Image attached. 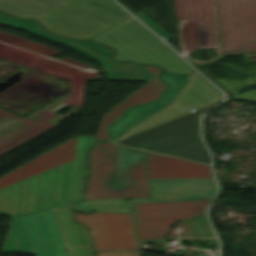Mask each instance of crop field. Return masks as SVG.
Instances as JSON below:
<instances>
[{
    "label": "crop field",
    "mask_w": 256,
    "mask_h": 256,
    "mask_svg": "<svg viewBox=\"0 0 256 256\" xmlns=\"http://www.w3.org/2000/svg\"><path fill=\"white\" fill-rule=\"evenodd\" d=\"M77 221L90 227L95 252L139 249L134 232L133 215L95 212L75 213Z\"/></svg>",
    "instance_id": "crop-field-9"
},
{
    "label": "crop field",
    "mask_w": 256,
    "mask_h": 256,
    "mask_svg": "<svg viewBox=\"0 0 256 256\" xmlns=\"http://www.w3.org/2000/svg\"><path fill=\"white\" fill-rule=\"evenodd\" d=\"M94 136H78L75 159L0 189V215L14 217L82 199L86 151Z\"/></svg>",
    "instance_id": "crop-field-1"
},
{
    "label": "crop field",
    "mask_w": 256,
    "mask_h": 256,
    "mask_svg": "<svg viewBox=\"0 0 256 256\" xmlns=\"http://www.w3.org/2000/svg\"><path fill=\"white\" fill-rule=\"evenodd\" d=\"M145 28V27H144ZM131 17L89 38L113 47V60H130L138 64H154L166 72L188 74L193 71L169 48Z\"/></svg>",
    "instance_id": "crop-field-4"
},
{
    "label": "crop field",
    "mask_w": 256,
    "mask_h": 256,
    "mask_svg": "<svg viewBox=\"0 0 256 256\" xmlns=\"http://www.w3.org/2000/svg\"><path fill=\"white\" fill-rule=\"evenodd\" d=\"M145 153L148 178L212 177L209 166Z\"/></svg>",
    "instance_id": "crop-field-14"
},
{
    "label": "crop field",
    "mask_w": 256,
    "mask_h": 256,
    "mask_svg": "<svg viewBox=\"0 0 256 256\" xmlns=\"http://www.w3.org/2000/svg\"><path fill=\"white\" fill-rule=\"evenodd\" d=\"M150 72L156 75L146 85L112 109L110 112L102 116L101 122L94 140L108 139V132L106 127L112 124L113 121L117 120L118 117L123 115V111L133 105L145 104L151 100H156L160 97L162 92L167 88L159 79L158 74L160 69L153 66H143Z\"/></svg>",
    "instance_id": "crop-field-13"
},
{
    "label": "crop field",
    "mask_w": 256,
    "mask_h": 256,
    "mask_svg": "<svg viewBox=\"0 0 256 256\" xmlns=\"http://www.w3.org/2000/svg\"><path fill=\"white\" fill-rule=\"evenodd\" d=\"M2 251L68 256L52 211L11 218Z\"/></svg>",
    "instance_id": "crop-field-6"
},
{
    "label": "crop field",
    "mask_w": 256,
    "mask_h": 256,
    "mask_svg": "<svg viewBox=\"0 0 256 256\" xmlns=\"http://www.w3.org/2000/svg\"><path fill=\"white\" fill-rule=\"evenodd\" d=\"M97 256H140L138 250H124L114 252H98Z\"/></svg>",
    "instance_id": "crop-field-19"
},
{
    "label": "crop field",
    "mask_w": 256,
    "mask_h": 256,
    "mask_svg": "<svg viewBox=\"0 0 256 256\" xmlns=\"http://www.w3.org/2000/svg\"><path fill=\"white\" fill-rule=\"evenodd\" d=\"M161 78L170 85V88L164 93L162 99L159 102L149 103L146 106H138L127 111L125 117L110 127L114 141L133 124L167 106L187 82L186 76L179 74L161 73Z\"/></svg>",
    "instance_id": "crop-field-11"
},
{
    "label": "crop field",
    "mask_w": 256,
    "mask_h": 256,
    "mask_svg": "<svg viewBox=\"0 0 256 256\" xmlns=\"http://www.w3.org/2000/svg\"><path fill=\"white\" fill-rule=\"evenodd\" d=\"M187 78L188 82L177 94V96L172 100L169 106L161 109L157 113L135 124L123 135H121L118 140H116H122L129 136L182 116L190 112L189 110L192 108L197 110L203 106L222 99L221 92H219L212 85H210L198 73L195 72L187 76Z\"/></svg>",
    "instance_id": "crop-field-8"
},
{
    "label": "crop field",
    "mask_w": 256,
    "mask_h": 256,
    "mask_svg": "<svg viewBox=\"0 0 256 256\" xmlns=\"http://www.w3.org/2000/svg\"><path fill=\"white\" fill-rule=\"evenodd\" d=\"M210 198L134 204L140 241L165 239L176 219H188L204 210Z\"/></svg>",
    "instance_id": "crop-field-7"
},
{
    "label": "crop field",
    "mask_w": 256,
    "mask_h": 256,
    "mask_svg": "<svg viewBox=\"0 0 256 256\" xmlns=\"http://www.w3.org/2000/svg\"><path fill=\"white\" fill-rule=\"evenodd\" d=\"M89 165L86 200L150 197L144 152L99 142L89 151Z\"/></svg>",
    "instance_id": "crop-field-3"
},
{
    "label": "crop field",
    "mask_w": 256,
    "mask_h": 256,
    "mask_svg": "<svg viewBox=\"0 0 256 256\" xmlns=\"http://www.w3.org/2000/svg\"><path fill=\"white\" fill-rule=\"evenodd\" d=\"M213 105L117 143L209 163L198 137V115Z\"/></svg>",
    "instance_id": "crop-field-5"
},
{
    "label": "crop field",
    "mask_w": 256,
    "mask_h": 256,
    "mask_svg": "<svg viewBox=\"0 0 256 256\" xmlns=\"http://www.w3.org/2000/svg\"><path fill=\"white\" fill-rule=\"evenodd\" d=\"M135 16L138 17L142 22H144L148 27H150L154 32H156L165 41L173 38L171 35H169L165 30H163L158 24H156L152 19H150L142 11L135 14Z\"/></svg>",
    "instance_id": "crop-field-18"
},
{
    "label": "crop field",
    "mask_w": 256,
    "mask_h": 256,
    "mask_svg": "<svg viewBox=\"0 0 256 256\" xmlns=\"http://www.w3.org/2000/svg\"><path fill=\"white\" fill-rule=\"evenodd\" d=\"M0 23L30 32L32 34H35L37 36H40L55 43H58L61 40V38H57L53 35L44 32L34 21L17 20L0 14Z\"/></svg>",
    "instance_id": "crop-field-17"
},
{
    "label": "crop field",
    "mask_w": 256,
    "mask_h": 256,
    "mask_svg": "<svg viewBox=\"0 0 256 256\" xmlns=\"http://www.w3.org/2000/svg\"><path fill=\"white\" fill-rule=\"evenodd\" d=\"M77 136L0 178V188L74 158Z\"/></svg>",
    "instance_id": "crop-field-12"
},
{
    "label": "crop field",
    "mask_w": 256,
    "mask_h": 256,
    "mask_svg": "<svg viewBox=\"0 0 256 256\" xmlns=\"http://www.w3.org/2000/svg\"><path fill=\"white\" fill-rule=\"evenodd\" d=\"M93 209H97L96 211L132 213L131 203L124 199L85 201L75 204V210L78 211H92Z\"/></svg>",
    "instance_id": "crop-field-16"
},
{
    "label": "crop field",
    "mask_w": 256,
    "mask_h": 256,
    "mask_svg": "<svg viewBox=\"0 0 256 256\" xmlns=\"http://www.w3.org/2000/svg\"><path fill=\"white\" fill-rule=\"evenodd\" d=\"M66 238L71 256H93L85 227L75 223L71 216V206L55 210Z\"/></svg>",
    "instance_id": "crop-field-15"
},
{
    "label": "crop field",
    "mask_w": 256,
    "mask_h": 256,
    "mask_svg": "<svg viewBox=\"0 0 256 256\" xmlns=\"http://www.w3.org/2000/svg\"><path fill=\"white\" fill-rule=\"evenodd\" d=\"M0 11L34 18L48 31L81 39L129 17L111 0H0Z\"/></svg>",
    "instance_id": "crop-field-2"
},
{
    "label": "crop field",
    "mask_w": 256,
    "mask_h": 256,
    "mask_svg": "<svg viewBox=\"0 0 256 256\" xmlns=\"http://www.w3.org/2000/svg\"><path fill=\"white\" fill-rule=\"evenodd\" d=\"M59 44L68 46L102 64L108 74L107 80L147 81L153 76L144 71L140 66L130 62H110L108 59L113 54V50L93 42L62 39Z\"/></svg>",
    "instance_id": "crop-field-10"
}]
</instances>
